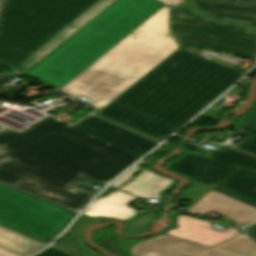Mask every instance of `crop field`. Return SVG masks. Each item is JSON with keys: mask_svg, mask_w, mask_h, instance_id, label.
<instances>
[{"mask_svg": "<svg viewBox=\"0 0 256 256\" xmlns=\"http://www.w3.org/2000/svg\"><path fill=\"white\" fill-rule=\"evenodd\" d=\"M148 256H256V243L242 234L225 243L209 248L164 235Z\"/></svg>", "mask_w": 256, "mask_h": 256, "instance_id": "9", "label": "crop field"}, {"mask_svg": "<svg viewBox=\"0 0 256 256\" xmlns=\"http://www.w3.org/2000/svg\"><path fill=\"white\" fill-rule=\"evenodd\" d=\"M155 145L94 116L72 127L49 117L20 133L0 132V181L80 211L93 195L73 182L86 175L107 183Z\"/></svg>", "mask_w": 256, "mask_h": 256, "instance_id": "1", "label": "crop field"}, {"mask_svg": "<svg viewBox=\"0 0 256 256\" xmlns=\"http://www.w3.org/2000/svg\"><path fill=\"white\" fill-rule=\"evenodd\" d=\"M190 5L225 21H242L256 29V0H190Z\"/></svg>", "mask_w": 256, "mask_h": 256, "instance_id": "11", "label": "crop field"}, {"mask_svg": "<svg viewBox=\"0 0 256 256\" xmlns=\"http://www.w3.org/2000/svg\"><path fill=\"white\" fill-rule=\"evenodd\" d=\"M242 75L178 49L98 113L164 140Z\"/></svg>", "mask_w": 256, "mask_h": 256, "instance_id": "2", "label": "crop field"}, {"mask_svg": "<svg viewBox=\"0 0 256 256\" xmlns=\"http://www.w3.org/2000/svg\"><path fill=\"white\" fill-rule=\"evenodd\" d=\"M116 0H4L0 64L24 74Z\"/></svg>", "mask_w": 256, "mask_h": 256, "instance_id": "3", "label": "crop field"}, {"mask_svg": "<svg viewBox=\"0 0 256 256\" xmlns=\"http://www.w3.org/2000/svg\"><path fill=\"white\" fill-rule=\"evenodd\" d=\"M238 133L246 136L235 148L256 154V107L237 127Z\"/></svg>", "mask_w": 256, "mask_h": 256, "instance_id": "18", "label": "crop field"}, {"mask_svg": "<svg viewBox=\"0 0 256 256\" xmlns=\"http://www.w3.org/2000/svg\"><path fill=\"white\" fill-rule=\"evenodd\" d=\"M0 255L1 256H19L17 254H14V253H12L10 251H7V250L1 248V247H0Z\"/></svg>", "mask_w": 256, "mask_h": 256, "instance_id": "24", "label": "crop field"}, {"mask_svg": "<svg viewBox=\"0 0 256 256\" xmlns=\"http://www.w3.org/2000/svg\"><path fill=\"white\" fill-rule=\"evenodd\" d=\"M221 147L222 150L207 153L209 158L189 153L165 168L188 176L193 181L212 186L222 181L238 166L256 171L255 156Z\"/></svg>", "mask_w": 256, "mask_h": 256, "instance_id": "8", "label": "crop field"}, {"mask_svg": "<svg viewBox=\"0 0 256 256\" xmlns=\"http://www.w3.org/2000/svg\"><path fill=\"white\" fill-rule=\"evenodd\" d=\"M145 159L142 160L140 163H138L136 166H134L132 169H130L128 172H126L124 175H122L120 178H118L114 183L111 184V186L117 188L124 182H126L128 179H130L132 176L135 175V173L138 171L140 166L144 163Z\"/></svg>", "mask_w": 256, "mask_h": 256, "instance_id": "19", "label": "crop field"}, {"mask_svg": "<svg viewBox=\"0 0 256 256\" xmlns=\"http://www.w3.org/2000/svg\"><path fill=\"white\" fill-rule=\"evenodd\" d=\"M217 112H218V111L215 110V109H210V108H208L205 112H203V113L201 114V116H203V117L209 119L210 117H212V116H213L214 114H216Z\"/></svg>", "mask_w": 256, "mask_h": 256, "instance_id": "23", "label": "crop field"}, {"mask_svg": "<svg viewBox=\"0 0 256 256\" xmlns=\"http://www.w3.org/2000/svg\"><path fill=\"white\" fill-rule=\"evenodd\" d=\"M163 5L117 0L26 74L61 89Z\"/></svg>", "mask_w": 256, "mask_h": 256, "instance_id": "5", "label": "crop field"}, {"mask_svg": "<svg viewBox=\"0 0 256 256\" xmlns=\"http://www.w3.org/2000/svg\"><path fill=\"white\" fill-rule=\"evenodd\" d=\"M173 183H175V181L171 179L157 175L151 171L143 170L138 177L120 189L145 199L152 198L161 200L159 193L167 189Z\"/></svg>", "mask_w": 256, "mask_h": 256, "instance_id": "15", "label": "crop field"}, {"mask_svg": "<svg viewBox=\"0 0 256 256\" xmlns=\"http://www.w3.org/2000/svg\"><path fill=\"white\" fill-rule=\"evenodd\" d=\"M169 30L179 47L219 51L256 60V35L246 26L220 24L181 6L170 8Z\"/></svg>", "mask_w": 256, "mask_h": 256, "instance_id": "6", "label": "crop field"}, {"mask_svg": "<svg viewBox=\"0 0 256 256\" xmlns=\"http://www.w3.org/2000/svg\"><path fill=\"white\" fill-rule=\"evenodd\" d=\"M94 114L97 115V116H99V117H102V118H104V119H106V120H109V121H111V122H114V123H116V124H119V125H121V126H123V127H126V128H128V129H130V130H133V131H135V132H137V133H139V134H142V135H144V136H146V137H148V138H151V139H153V140H155V141H157V142H162V140H160V139H158V138H155V137H153V136H151V135H148V134H146V133H144V132H141V131H139V130H136V129L132 128V127H129V126L124 125V124H122V123L116 122V121H114V120H111V119L106 118V117H104V116H101V115H99V114H96V113H94Z\"/></svg>", "mask_w": 256, "mask_h": 256, "instance_id": "20", "label": "crop field"}, {"mask_svg": "<svg viewBox=\"0 0 256 256\" xmlns=\"http://www.w3.org/2000/svg\"><path fill=\"white\" fill-rule=\"evenodd\" d=\"M242 91H243V89L234 87L230 92L227 93V95L234 94V95L238 96Z\"/></svg>", "mask_w": 256, "mask_h": 256, "instance_id": "25", "label": "crop field"}, {"mask_svg": "<svg viewBox=\"0 0 256 256\" xmlns=\"http://www.w3.org/2000/svg\"><path fill=\"white\" fill-rule=\"evenodd\" d=\"M213 190L256 208V172L238 167Z\"/></svg>", "mask_w": 256, "mask_h": 256, "instance_id": "13", "label": "crop field"}, {"mask_svg": "<svg viewBox=\"0 0 256 256\" xmlns=\"http://www.w3.org/2000/svg\"><path fill=\"white\" fill-rule=\"evenodd\" d=\"M113 228H108L103 231L95 232L93 235V240L99 239H113L120 242V250L125 256H146L151 249L156 245V243L161 239V236L155 237L153 239L137 242V241H128L121 239L113 234Z\"/></svg>", "mask_w": 256, "mask_h": 256, "instance_id": "16", "label": "crop field"}, {"mask_svg": "<svg viewBox=\"0 0 256 256\" xmlns=\"http://www.w3.org/2000/svg\"><path fill=\"white\" fill-rule=\"evenodd\" d=\"M247 232L250 236H252L256 240V226L249 229Z\"/></svg>", "mask_w": 256, "mask_h": 256, "instance_id": "26", "label": "crop field"}, {"mask_svg": "<svg viewBox=\"0 0 256 256\" xmlns=\"http://www.w3.org/2000/svg\"><path fill=\"white\" fill-rule=\"evenodd\" d=\"M37 256H70V255L50 247Z\"/></svg>", "mask_w": 256, "mask_h": 256, "instance_id": "21", "label": "crop field"}, {"mask_svg": "<svg viewBox=\"0 0 256 256\" xmlns=\"http://www.w3.org/2000/svg\"><path fill=\"white\" fill-rule=\"evenodd\" d=\"M179 228L166 233L199 244L213 247L217 244L232 239L242 233L236 229L227 227L224 230H217L209 222L200 221L185 216H178Z\"/></svg>", "mask_w": 256, "mask_h": 256, "instance_id": "12", "label": "crop field"}, {"mask_svg": "<svg viewBox=\"0 0 256 256\" xmlns=\"http://www.w3.org/2000/svg\"><path fill=\"white\" fill-rule=\"evenodd\" d=\"M135 199L116 190L110 195L94 201L84 214L90 217L108 216L124 220L135 214L134 209L127 207Z\"/></svg>", "mask_w": 256, "mask_h": 256, "instance_id": "14", "label": "crop field"}, {"mask_svg": "<svg viewBox=\"0 0 256 256\" xmlns=\"http://www.w3.org/2000/svg\"><path fill=\"white\" fill-rule=\"evenodd\" d=\"M2 0H0V2H1Z\"/></svg>", "mask_w": 256, "mask_h": 256, "instance_id": "27", "label": "crop field"}, {"mask_svg": "<svg viewBox=\"0 0 256 256\" xmlns=\"http://www.w3.org/2000/svg\"><path fill=\"white\" fill-rule=\"evenodd\" d=\"M77 214L0 183V225L49 244Z\"/></svg>", "mask_w": 256, "mask_h": 256, "instance_id": "7", "label": "crop field"}, {"mask_svg": "<svg viewBox=\"0 0 256 256\" xmlns=\"http://www.w3.org/2000/svg\"><path fill=\"white\" fill-rule=\"evenodd\" d=\"M214 211L229 219V225L240 227L244 224L256 223V209L237 200L211 190L200 199L190 210L191 214Z\"/></svg>", "mask_w": 256, "mask_h": 256, "instance_id": "10", "label": "crop field"}, {"mask_svg": "<svg viewBox=\"0 0 256 256\" xmlns=\"http://www.w3.org/2000/svg\"><path fill=\"white\" fill-rule=\"evenodd\" d=\"M168 13L162 7L61 90L105 107L178 48L169 35Z\"/></svg>", "mask_w": 256, "mask_h": 256, "instance_id": "4", "label": "crop field"}, {"mask_svg": "<svg viewBox=\"0 0 256 256\" xmlns=\"http://www.w3.org/2000/svg\"><path fill=\"white\" fill-rule=\"evenodd\" d=\"M158 1L163 2L167 5H178V4L186 3L184 0H158Z\"/></svg>", "mask_w": 256, "mask_h": 256, "instance_id": "22", "label": "crop field"}, {"mask_svg": "<svg viewBox=\"0 0 256 256\" xmlns=\"http://www.w3.org/2000/svg\"><path fill=\"white\" fill-rule=\"evenodd\" d=\"M0 6H1V4H0Z\"/></svg>", "mask_w": 256, "mask_h": 256, "instance_id": "28", "label": "crop field"}, {"mask_svg": "<svg viewBox=\"0 0 256 256\" xmlns=\"http://www.w3.org/2000/svg\"><path fill=\"white\" fill-rule=\"evenodd\" d=\"M0 245L25 256L31 255L46 246L41 242H38L1 226Z\"/></svg>", "mask_w": 256, "mask_h": 256, "instance_id": "17", "label": "crop field"}]
</instances>
